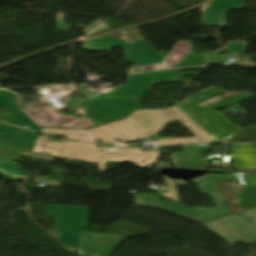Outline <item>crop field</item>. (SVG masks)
<instances>
[{"label":"crop field","instance_id":"obj_6","mask_svg":"<svg viewBox=\"0 0 256 256\" xmlns=\"http://www.w3.org/2000/svg\"><path fill=\"white\" fill-rule=\"evenodd\" d=\"M217 181H238V180L235 175L220 177V176L209 174L207 176L200 177L191 181V183H195L199 185V188L202 193L211 195L213 201L217 206V208H213V209H208V208L196 209L201 224L211 220L230 216V213L228 212V210L222 207L223 194L221 193L216 183Z\"/></svg>","mask_w":256,"mask_h":256},{"label":"crop field","instance_id":"obj_8","mask_svg":"<svg viewBox=\"0 0 256 256\" xmlns=\"http://www.w3.org/2000/svg\"><path fill=\"white\" fill-rule=\"evenodd\" d=\"M36 123L40 126H52V127H64V128H74L82 129L93 126V124L86 119H75L63 115H57L55 111L50 107L45 109H31L30 114H28Z\"/></svg>","mask_w":256,"mask_h":256},{"label":"crop field","instance_id":"obj_3","mask_svg":"<svg viewBox=\"0 0 256 256\" xmlns=\"http://www.w3.org/2000/svg\"><path fill=\"white\" fill-rule=\"evenodd\" d=\"M75 143L67 142L60 157L87 161V162H98V166L101 171H104L105 166L108 162H132L139 166L145 167L150 163H153L157 159V153H143L140 150L126 149L118 153L111 155L101 154L96 145L86 143ZM142 162H145L144 164Z\"/></svg>","mask_w":256,"mask_h":256},{"label":"crop field","instance_id":"obj_29","mask_svg":"<svg viewBox=\"0 0 256 256\" xmlns=\"http://www.w3.org/2000/svg\"><path fill=\"white\" fill-rule=\"evenodd\" d=\"M79 115H84L83 109H77Z\"/></svg>","mask_w":256,"mask_h":256},{"label":"crop field","instance_id":"obj_16","mask_svg":"<svg viewBox=\"0 0 256 256\" xmlns=\"http://www.w3.org/2000/svg\"><path fill=\"white\" fill-rule=\"evenodd\" d=\"M185 69H205V67L184 68V69H177V70H166V71H161V72H154V80L148 90H150L155 84L179 82V80L174 72L180 71V70H185Z\"/></svg>","mask_w":256,"mask_h":256},{"label":"crop field","instance_id":"obj_1","mask_svg":"<svg viewBox=\"0 0 256 256\" xmlns=\"http://www.w3.org/2000/svg\"><path fill=\"white\" fill-rule=\"evenodd\" d=\"M176 120L195 137L160 139L163 146L194 141L201 143L214 141L177 106L167 110H138L124 120L87 130L84 141L96 143L95 140L98 139L102 144H115L117 139L124 143L138 141L140 138L145 140L164 131L167 123Z\"/></svg>","mask_w":256,"mask_h":256},{"label":"crop field","instance_id":"obj_23","mask_svg":"<svg viewBox=\"0 0 256 256\" xmlns=\"http://www.w3.org/2000/svg\"><path fill=\"white\" fill-rule=\"evenodd\" d=\"M58 31H68L70 26H64L63 15L57 14Z\"/></svg>","mask_w":256,"mask_h":256},{"label":"crop field","instance_id":"obj_30","mask_svg":"<svg viewBox=\"0 0 256 256\" xmlns=\"http://www.w3.org/2000/svg\"><path fill=\"white\" fill-rule=\"evenodd\" d=\"M169 68H173V67H169ZM165 69H167V68H165ZM157 70H159V69H157Z\"/></svg>","mask_w":256,"mask_h":256},{"label":"crop field","instance_id":"obj_22","mask_svg":"<svg viewBox=\"0 0 256 256\" xmlns=\"http://www.w3.org/2000/svg\"><path fill=\"white\" fill-rule=\"evenodd\" d=\"M243 45L238 43H228L227 53H242Z\"/></svg>","mask_w":256,"mask_h":256},{"label":"crop field","instance_id":"obj_24","mask_svg":"<svg viewBox=\"0 0 256 256\" xmlns=\"http://www.w3.org/2000/svg\"><path fill=\"white\" fill-rule=\"evenodd\" d=\"M103 23H104V22L98 20V21L92 23V24L89 26V28H88L86 31H84L83 33L86 34V33H88L89 31L93 30L94 28L100 26V25L103 24Z\"/></svg>","mask_w":256,"mask_h":256},{"label":"crop field","instance_id":"obj_13","mask_svg":"<svg viewBox=\"0 0 256 256\" xmlns=\"http://www.w3.org/2000/svg\"><path fill=\"white\" fill-rule=\"evenodd\" d=\"M192 46L189 45V42L178 41L174 48L170 51V53L165 57L161 64L151 65V66H143L139 67L141 71L156 69V68H164L169 66L177 65L181 59L190 52Z\"/></svg>","mask_w":256,"mask_h":256},{"label":"crop field","instance_id":"obj_27","mask_svg":"<svg viewBox=\"0 0 256 256\" xmlns=\"http://www.w3.org/2000/svg\"><path fill=\"white\" fill-rule=\"evenodd\" d=\"M134 72H141L139 69H132V70H130L127 74H129V73H134Z\"/></svg>","mask_w":256,"mask_h":256},{"label":"crop field","instance_id":"obj_26","mask_svg":"<svg viewBox=\"0 0 256 256\" xmlns=\"http://www.w3.org/2000/svg\"><path fill=\"white\" fill-rule=\"evenodd\" d=\"M248 224H250L252 227H254L256 229V220L248 222Z\"/></svg>","mask_w":256,"mask_h":256},{"label":"crop field","instance_id":"obj_7","mask_svg":"<svg viewBox=\"0 0 256 256\" xmlns=\"http://www.w3.org/2000/svg\"><path fill=\"white\" fill-rule=\"evenodd\" d=\"M124 239L119 235L83 233L79 252L82 256H109Z\"/></svg>","mask_w":256,"mask_h":256},{"label":"crop field","instance_id":"obj_28","mask_svg":"<svg viewBox=\"0 0 256 256\" xmlns=\"http://www.w3.org/2000/svg\"><path fill=\"white\" fill-rule=\"evenodd\" d=\"M85 88H86V85H84V86H79L78 90H79V91H85Z\"/></svg>","mask_w":256,"mask_h":256},{"label":"crop field","instance_id":"obj_9","mask_svg":"<svg viewBox=\"0 0 256 256\" xmlns=\"http://www.w3.org/2000/svg\"><path fill=\"white\" fill-rule=\"evenodd\" d=\"M135 198H136L137 206L156 208V209H159L177 216H181L199 223L195 209H186L181 204H177L169 201L161 202L160 198L148 196V195H137L135 196Z\"/></svg>","mask_w":256,"mask_h":256},{"label":"crop field","instance_id":"obj_10","mask_svg":"<svg viewBox=\"0 0 256 256\" xmlns=\"http://www.w3.org/2000/svg\"><path fill=\"white\" fill-rule=\"evenodd\" d=\"M229 9H246V0H214L203 14V24L225 26L224 15Z\"/></svg>","mask_w":256,"mask_h":256},{"label":"crop field","instance_id":"obj_17","mask_svg":"<svg viewBox=\"0 0 256 256\" xmlns=\"http://www.w3.org/2000/svg\"><path fill=\"white\" fill-rule=\"evenodd\" d=\"M202 225L208 228L209 230H211L212 232H214L215 234H217L219 237L224 239L229 244H232L235 242H243L242 240H240L239 238L231 234L229 231H227L226 229H224L214 221L208 222Z\"/></svg>","mask_w":256,"mask_h":256},{"label":"crop field","instance_id":"obj_2","mask_svg":"<svg viewBox=\"0 0 256 256\" xmlns=\"http://www.w3.org/2000/svg\"><path fill=\"white\" fill-rule=\"evenodd\" d=\"M151 78V73L130 75L127 84L113 88L107 95L94 100L85 98L86 116L95 126L123 118L138 109L139 97L150 85Z\"/></svg>","mask_w":256,"mask_h":256},{"label":"crop field","instance_id":"obj_21","mask_svg":"<svg viewBox=\"0 0 256 256\" xmlns=\"http://www.w3.org/2000/svg\"><path fill=\"white\" fill-rule=\"evenodd\" d=\"M238 217L242 218L244 221L248 222L256 219V209L250 210L244 213L236 214Z\"/></svg>","mask_w":256,"mask_h":256},{"label":"crop field","instance_id":"obj_5","mask_svg":"<svg viewBox=\"0 0 256 256\" xmlns=\"http://www.w3.org/2000/svg\"><path fill=\"white\" fill-rule=\"evenodd\" d=\"M88 208L46 206V213L56 218L55 236L66 247H76L78 236L88 224Z\"/></svg>","mask_w":256,"mask_h":256},{"label":"crop field","instance_id":"obj_12","mask_svg":"<svg viewBox=\"0 0 256 256\" xmlns=\"http://www.w3.org/2000/svg\"><path fill=\"white\" fill-rule=\"evenodd\" d=\"M215 221L247 243L256 240V230L235 215Z\"/></svg>","mask_w":256,"mask_h":256},{"label":"crop field","instance_id":"obj_14","mask_svg":"<svg viewBox=\"0 0 256 256\" xmlns=\"http://www.w3.org/2000/svg\"><path fill=\"white\" fill-rule=\"evenodd\" d=\"M47 139H48L47 136L38 137L34 151L35 152H46L56 158L63 143L56 142V141H50Z\"/></svg>","mask_w":256,"mask_h":256},{"label":"crop field","instance_id":"obj_20","mask_svg":"<svg viewBox=\"0 0 256 256\" xmlns=\"http://www.w3.org/2000/svg\"><path fill=\"white\" fill-rule=\"evenodd\" d=\"M128 36L126 34H116L105 38L100 39H123L126 41V43H132L135 39L142 38L140 33L137 30L128 31Z\"/></svg>","mask_w":256,"mask_h":256},{"label":"crop field","instance_id":"obj_15","mask_svg":"<svg viewBox=\"0 0 256 256\" xmlns=\"http://www.w3.org/2000/svg\"><path fill=\"white\" fill-rule=\"evenodd\" d=\"M19 156H23V157L29 158L31 160L40 159V160H46L49 162H52L54 160L51 157H49L47 155H43V154L0 151V163L13 161L14 159H16Z\"/></svg>","mask_w":256,"mask_h":256},{"label":"crop field","instance_id":"obj_25","mask_svg":"<svg viewBox=\"0 0 256 256\" xmlns=\"http://www.w3.org/2000/svg\"><path fill=\"white\" fill-rule=\"evenodd\" d=\"M110 27L107 26L106 24L103 25L102 27L98 28L97 30H95L94 32H92L91 34H89L88 36L92 35V34H95V32L97 31H101V30H105V29H109Z\"/></svg>","mask_w":256,"mask_h":256},{"label":"crop field","instance_id":"obj_19","mask_svg":"<svg viewBox=\"0 0 256 256\" xmlns=\"http://www.w3.org/2000/svg\"><path fill=\"white\" fill-rule=\"evenodd\" d=\"M201 65H204V56L188 54L183 58V60L176 67L201 66Z\"/></svg>","mask_w":256,"mask_h":256},{"label":"crop field","instance_id":"obj_11","mask_svg":"<svg viewBox=\"0 0 256 256\" xmlns=\"http://www.w3.org/2000/svg\"><path fill=\"white\" fill-rule=\"evenodd\" d=\"M208 150L209 145L184 146L182 154L174 153L171 159L179 160L181 167H208L209 163L202 160L203 154Z\"/></svg>","mask_w":256,"mask_h":256},{"label":"crop field","instance_id":"obj_18","mask_svg":"<svg viewBox=\"0 0 256 256\" xmlns=\"http://www.w3.org/2000/svg\"><path fill=\"white\" fill-rule=\"evenodd\" d=\"M41 132L51 134V135L64 136L68 139L80 140V141H83L84 133H85V131L60 130V129H52V128H43Z\"/></svg>","mask_w":256,"mask_h":256},{"label":"crop field","instance_id":"obj_4","mask_svg":"<svg viewBox=\"0 0 256 256\" xmlns=\"http://www.w3.org/2000/svg\"><path fill=\"white\" fill-rule=\"evenodd\" d=\"M145 41L138 39L132 44H125V41L122 40H88L82 46L86 51L111 50L115 47H123L125 52L123 58L133 66L160 63L167 54L164 51L157 53Z\"/></svg>","mask_w":256,"mask_h":256}]
</instances>
